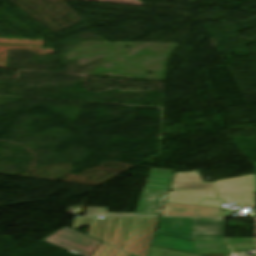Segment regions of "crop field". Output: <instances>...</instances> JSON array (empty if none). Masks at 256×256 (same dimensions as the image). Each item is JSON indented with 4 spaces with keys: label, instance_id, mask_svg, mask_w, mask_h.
<instances>
[{
    "label": "crop field",
    "instance_id": "8a807250",
    "mask_svg": "<svg viewBox=\"0 0 256 256\" xmlns=\"http://www.w3.org/2000/svg\"><path fill=\"white\" fill-rule=\"evenodd\" d=\"M159 233L190 239L202 254L233 252L224 239L223 219L161 218Z\"/></svg>",
    "mask_w": 256,
    "mask_h": 256
},
{
    "label": "crop field",
    "instance_id": "ac0d7876",
    "mask_svg": "<svg viewBox=\"0 0 256 256\" xmlns=\"http://www.w3.org/2000/svg\"><path fill=\"white\" fill-rule=\"evenodd\" d=\"M151 245L202 256L200 246L193 241L158 233L155 234Z\"/></svg>",
    "mask_w": 256,
    "mask_h": 256
},
{
    "label": "crop field",
    "instance_id": "34b2d1b8",
    "mask_svg": "<svg viewBox=\"0 0 256 256\" xmlns=\"http://www.w3.org/2000/svg\"><path fill=\"white\" fill-rule=\"evenodd\" d=\"M217 194L255 190V174L215 182Z\"/></svg>",
    "mask_w": 256,
    "mask_h": 256
},
{
    "label": "crop field",
    "instance_id": "412701ff",
    "mask_svg": "<svg viewBox=\"0 0 256 256\" xmlns=\"http://www.w3.org/2000/svg\"><path fill=\"white\" fill-rule=\"evenodd\" d=\"M173 173L174 171L151 169L144 190L167 192Z\"/></svg>",
    "mask_w": 256,
    "mask_h": 256
},
{
    "label": "crop field",
    "instance_id": "f4fd0767",
    "mask_svg": "<svg viewBox=\"0 0 256 256\" xmlns=\"http://www.w3.org/2000/svg\"><path fill=\"white\" fill-rule=\"evenodd\" d=\"M157 192L143 191L135 215L159 216L164 202L154 201Z\"/></svg>",
    "mask_w": 256,
    "mask_h": 256
},
{
    "label": "crop field",
    "instance_id": "dd49c442",
    "mask_svg": "<svg viewBox=\"0 0 256 256\" xmlns=\"http://www.w3.org/2000/svg\"><path fill=\"white\" fill-rule=\"evenodd\" d=\"M161 216L222 217L221 209H164Z\"/></svg>",
    "mask_w": 256,
    "mask_h": 256
},
{
    "label": "crop field",
    "instance_id": "e52e79f7",
    "mask_svg": "<svg viewBox=\"0 0 256 256\" xmlns=\"http://www.w3.org/2000/svg\"><path fill=\"white\" fill-rule=\"evenodd\" d=\"M233 250L256 249L255 238H225Z\"/></svg>",
    "mask_w": 256,
    "mask_h": 256
},
{
    "label": "crop field",
    "instance_id": "d8731c3e",
    "mask_svg": "<svg viewBox=\"0 0 256 256\" xmlns=\"http://www.w3.org/2000/svg\"><path fill=\"white\" fill-rule=\"evenodd\" d=\"M93 256H129V253L118 250L104 242L99 246Z\"/></svg>",
    "mask_w": 256,
    "mask_h": 256
},
{
    "label": "crop field",
    "instance_id": "5a996713",
    "mask_svg": "<svg viewBox=\"0 0 256 256\" xmlns=\"http://www.w3.org/2000/svg\"><path fill=\"white\" fill-rule=\"evenodd\" d=\"M167 193L158 192L155 200L164 201Z\"/></svg>",
    "mask_w": 256,
    "mask_h": 256
},
{
    "label": "crop field",
    "instance_id": "3316defc",
    "mask_svg": "<svg viewBox=\"0 0 256 256\" xmlns=\"http://www.w3.org/2000/svg\"><path fill=\"white\" fill-rule=\"evenodd\" d=\"M230 253H224V254H210V255H203V256H229Z\"/></svg>",
    "mask_w": 256,
    "mask_h": 256
},
{
    "label": "crop field",
    "instance_id": "28ad6ade",
    "mask_svg": "<svg viewBox=\"0 0 256 256\" xmlns=\"http://www.w3.org/2000/svg\"><path fill=\"white\" fill-rule=\"evenodd\" d=\"M130 256H134V255L130 254Z\"/></svg>",
    "mask_w": 256,
    "mask_h": 256
},
{
    "label": "crop field",
    "instance_id": "d1516ede",
    "mask_svg": "<svg viewBox=\"0 0 256 256\" xmlns=\"http://www.w3.org/2000/svg\"><path fill=\"white\" fill-rule=\"evenodd\" d=\"M255 168H256V163H255Z\"/></svg>",
    "mask_w": 256,
    "mask_h": 256
}]
</instances>
